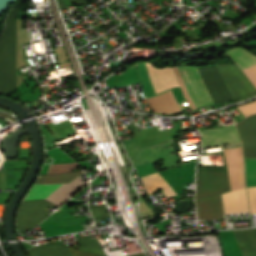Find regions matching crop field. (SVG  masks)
I'll list each match as a JSON object with an SVG mask.
<instances>
[{"mask_svg":"<svg viewBox=\"0 0 256 256\" xmlns=\"http://www.w3.org/2000/svg\"><path fill=\"white\" fill-rule=\"evenodd\" d=\"M241 69L256 63V57L245 48L237 47L224 53ZM197 68L213 104L256 94V65L240 70L237 65L220 63ZM188 83H184L197 108L211 105L196 67H181Z\"/></svg>","mask_w":256,"mask_h":256,"instance_id":"8a807250","label":"crop field"},{"mask_svg":"<svg viewBox=\"0 0 256 256\" xmlns=\"http://www.w3.org/2000/svg\"><path fill=\"white\" fill-rule=\"evenodd\" d=\"M230 187H245L242 148L223 149ZM227 172L198 170L196 200L217 196L230 190Z\"/></svg>","mask_w":256,"mask_h":256,"instance_id":"ac0d7876","label":"crop field"},{"mask_svg":"<svg viewBox=\"0 0 256 256\" xmlns=\"http://www.w3.org/2000/svg\"><path fill=\"white\" fill-rule=\"evenodd\" d=\"M19 10L8 13L4 32L0 37V94L15 89V17Z\"/></svg>","mask_w":256,"mask_h":256,"instance_id":"34b2d1b8","label":"crop field"},{"mask_svg":"<svg viewBox=\"0 0 256 256\" xmlns=\"http://www.w3.org/2000/svg\"><path fill=\"white\" fill-rule=\"evenodd\" d=\"M50 205L52 204L45 200L22 202L17 217L18 231L22 234L49 215L42 209Z\"/></svg>","mask_w":256,"mask_h":256,"instance_id":"412701ff","label":"crop field"},{"mask_svg":"<svg viewBox=\"0 0 256 256\" xmlns=\"http://www.w3.org/2000/svg\"><path fill=\"white\" fill-rule=\"evenodd\" d=\"M236 129L243 144L244 157L256 158V114L236 124Z\"/></svg>","mask_w":256,"mask_h":256,"instance_id":"f4fd0767","label":"crop field"},{"mask_svg":"<svg viewBox=\"0 0 256 256\" xmlns=\"http://www.w3.org/2000/svg\"><path fill=\"white\" fill-rule=\"evenodd\" d=\"M200 132L203 138V147L239 142L234 126L202 130Z\"/></svg>","mask_w":256,"mask_h":256,"instance_id":"dd49c442","label":"crop field"},{"mask_svg":"<svg viewBox=\"0 0 256 256\" xmlns=\"http://www.w3.org/2000/svg\"><path fill=\"white\" fill-rule=\"evenodd\" d=\"M224 214L249 212L245 188L221 195Z\"/></svg>","mask_w":256,"mask_h":256,"instance_id":"e52e79f7","label":"crop field"},{"mask_svg":"<svg viewBox=\"0 0 256 256\" xmlns=\"http://www.w3.org/2000/svg\"><path fill=\"white\" fill-rule=\"evenodd\" d=\"M87 181H82L80 176L71 181L68 184H63L58 189H56L50 196L45 200L53 203L56 206L62 205L66 200H68L73 194H75L82 186H84Z\"/></svg>","mask_w":256,"mask_h":256,"instance_id":"d8731c3e","label":"crop field"},{"mask_svg":"<svg viewBox=\"0 0 256 256\" xmlns=\"http://www.w3.org/2000/svg\"><path fill=\"white\" fill-rule=\"evenodd\" d=\"M199 219L224 218L220 196L196 201Z\"/></svg>","mask_w":256,"mask_h":256,"instance_id":"5a996713","label":"crop field"},{"mask_svg":"<svg viewBox=\"0 0 256 256\" xmlns=\"http://www.w3.org/2000/svg\"><path fill=\"white\" fill-rule=\"evenodd\" d=\"M242 256H256V234L254 230L232 231Z\"/></svg>","mask_w":256,"mask_h":256,"instance_id":"3316defc","label":"crop field"},{"mask_svg":"<svg viewBox=\"0 0 256 256\" xmlns=\"http://www.w3.org/2000/svg\"><path fill=\"white\" fill-rule=\"evenodd\" d=\"M141 179L144 183L147 194H153L161 189L166 198L175 195L173 189L158 172L142 177Z\"/></svg>","mask_w":256,"mask_h":256,"instance_id":"28ad6ade","label":"crop field"},{"mask_svg":"<svg viewBox=\"0 0 256 256\" xmlns=\"http://www.w3.org/2000/svg\"><path fill=\"white\" fill-rule=\"evenodd\" d=\"M27 252L30 256H71L68 248L61 244L34 246Z\"/></svg>","mask_w":256,"mask_h":256,"instance_id":"d1516ede","label":"crop field"},{"mask_svg":"<svg viewBox=\"0 0 256 256\" xmlns=\"http://www.w3.org/2000/svg\"><path fill=\"white\" fill-rule=\"evenodd\" d=\"M83 174L82 171L62 173V174H52V175H40L36 180L35 184L41 183H68L77 176Z\"/></svg>","mask_w":256,"mask_h":256,"instance_id":"22f410ed","label":"crop field"},{"mask_svg":"<svg viewBox=\"0 0 256 256\" xmlns=\"http://www.w3.org/2000/svg\"><path fill=\"white\" fill-rule=\"evenodd\" d=\"M61 184L33 185L24 201L45 199Z\"/></svg>","mask_w":256,"mask_h":256,"instance_id":"cbeb9de0","label":"crop field"},{"mask_svg":"<svg viewBox=\"0 0 256 256\" xmlns=\"http://www.w3.org/2000/svg\"><path fill=\"white\" fill-rule=\"evenodd\" d=\"M76 241L80 250L104 255L96 239L92 240L91 237L87 236L76 238Z\"/></svg>","mask_w":256,"mask_h":256,"instance_id":"5142ce71","label":"crop field"},{"mask_svg":"<svg viewBox=\"0 0 256 256\" xmlns=\"http://www.w3.org/2000/svg\"><path fill=\"white\" fill-rule=\"evenodd\" d=\"M246 172L256 171V159H245ZM246 184L247 186L256 185V172L246 173Z\"/></svg>","mask_w":256,"mask_h":256,"instance_id":"d9b57169","label":"crop field"},{"mask_svg":"<svg viewBox=\"0 0 256 256\" xmlns=\"http://www.w3.org/2000/svg\"><path fill=\"white\" fill-rule=\"evenodd\" d=\"M89 207H90V211L94 217V220L110 217L107 212L105 204L92 205Z\"/></svg>","mask_w":256,"mask_h":256,"instance_id":"733c2abd","label":"crop field"},{"mask_svg":"<svg viewBox=\"0 0 256 256\" xmlns=\"http://www.w3.org/2000/svg\"><path fill=\"white\" fill-rule=\"evenodd\" d=\"M77 166L78 164L76 163L50 165L47 174L56 172H69L70 170L74 169Z\"/></svg>","mask_w":256,"mask_h":256,"instance_id":"4a817a6b","label":"crop field"},{"mask_svg":"<svg viewBox=\"0 0 256 256\" xmlns=\"http://www.w3.org/2000/svg\"><path fill=\"white\" fill-rule=\"evenodd\" d=\"M254 102H256V100ZM254 102L249 103V104L240 105L237 107L244 114V116L247 117L248 115H250L252 113H256V104Z\"/></svg>","mask_w":256,"mask_h":256,"instance_id":"bc2a9ffb","label":"crop field"},{"mask_svg":"<svg viewBox=\"0 0 256 256\" xmlns=\"http://www.w3.org/2000/svg\"><path fill=\"white\" fill-rule=\"evenodd\" d=\"M250 208H256V187L247 188Z\"/></svg>","mask_w":256,"mask_h":256,"instance_id":"214f88e0","label":"crop field"},{"mask_svg":"<svg viewBox=\"0 0 256 256\" xmlns=\"http://www.w3.org/2000/svg\"><path fill=\"white\" fill-rule=\"evenodd\" d=\"M173 69H174V71H175V73H176V76H177L179 82H180L181 89H182V91H183V94H184V96H185V98H186L188 104H189L190 106H193V103H192V101H191V99H190V97H189V95H188V93H187V91H186V88H185V86H184V84H183V81H182V79H181V77H180V74H179L177 68L174 67Z\"/></svg>","mask_w":256,"mask_h":256,"instance_id":"92a150f3","label":"crop field"},{"mask_svg":"<svg viewBox=\"0 0 256 256\" xmlns=\"http://www.w3.org/2000/svg\"><path fill=\"white\" fill-rule=\"evenodd\" d=\"M69 250H70L72 256H99V255H95V254H90V253L78 251V250H75V249H72V248H69ZM131 256H146V254L145 253H140V254H135V255H131Z\"/></svg>","mask_w":256,"mask_h":256,"instance_id":"dafd665d","label":"crop field"},{"mask_svg":"<svg viewBox=\"0 0 256 256\" xmlns=\"http://www.w3.org/2000/svg\"><path fill=\"white\" fill-rule=\"evenodd\" d=\"M73 3L81 5V4H85L88 2V0H72Z\"/></svg>","mask_w":256,"mask_h":256,"instance_id":"00972430","label":"crop field"},{"mask_svg":"<svg viewBox=\"0 0 256 256\" xmlns=\"http://www.w3.org/2000/svg\"><path fill=\"white\" fill-rule=\"evenodd\" d=\"M57 2L61 10L66 8L63 0H57Z\"/></svg>","mask_w":256,"mask_h":256,"instance_id":"a9b5d70f","label":"crop field"}]
</instances>
